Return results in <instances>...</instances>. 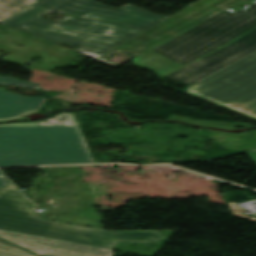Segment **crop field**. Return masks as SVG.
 <instances>
[{
  "mask_svg": "<svg viewBox=\"0 0 256 256\" xmlns=\"http://www.w3.org/2000/svg\"><path fill=\"white\" fill-rule=\"evenodd\" d=\"M0 256H34V255L0 239Z\"/></svg>",
  "mask_w": 256,
  "mask_h": 256,
  "instance_id": "cbeb9de0",
  "label": "crop field"
},
{
  "mask_svg": "<svg viewBox=\"0 0 256 256\" xmlns=\"http://www.w3.org/2000/svg\"><path fill=\"white\" fill-rule=\"evenodd\" d=\"M40 126L78 125L74 113H61L54 118L39 122Z\"/></svg>",
  "mask_w": 256,
  "mask_h": 256,
  "instance_id": "d1516ede",
  "label": "crop field"
},
{
  "mask_svg": "<svg viewBox=\"0 0 256 256\" xmlns=\"http://www.w3.org/2000/svg\"><path fill=\"white\" fill-rule=\"evenodd\" d=\"M0 126H39L38 122H25V123H11Z\"/></svg>",
  "mask_w": 256,
  "mask_h": 256,
  "instance_id": "5142ce71",
  "label": "crop field"
},
{
  "mask_svg": "<svg viewBox=\"0 0 256 256\" xmlns=\"http://www.w3.org/2000/svg\"><path fill=\"white\" fill-rule=\"evenodd\" d=\"M39 110H40V109H38V110H33V111H29V112H25V113H23V114H21V115H19V116L14 117V118L0 119V121L12 120V119H20V118H22V117H24V116H26V115L31 114V113L39 112Z\"/></svg>",
  "mask_w": 256,
  "mask_h": 256,
  "instance_id": "733c2abd",
  "label": "crop field"
},
{
  "mask_svg": "<svg viewBox=\"0 0 256 256\" xmlns=\"http://www.w3.org/2000/svg\"><path fill=\"white\" fill-rule=\"evenodd\" d=\"M256 26V17L241 26L233 29L225 35L190 53L189 55L174 62L182 66L196 60L197 58L207 54L208 52L229 42L244 32ZM256 51V29L228 44L222 49L204 57L203 59L169 75L168 77L179 81L194 84L196 81L224 68L225 66L253 53ZM171 64L164 69L156 72L161 79L163 76L181 66ZM201 81V80H200ZM199 82V81H198Z\"/></svg>",
  "mask_w": 256,
  "mask_h": 256,
  "instance_id": "412701ff",
  "label": "crop field"
},
{
  "mask_svg": "<svg viewBox=\"0 0 256 256\" xmlns=\"http://www.w3.org/2000/svg\"><path fill=\"white\" fill-rule=\"evenodd\" d=\"M170 119L189 121L193 124L218 126V127H223V128H227V129L236 128V127L253 126V125H249V124H245V123L236 124V123H230V122H214V121H206V120L196 121V120H191L187 117H182V116H178V115H171Z\"/></svg>",
  "mask_w": 256,
  "mask_h": 256,
  "instance_id": "22f410ed",
  "label": "crop field"
},
{
  "mask_svg": "<svg viewBox=\"0 0 256 256\" xmlns=\"http://www.w3.org/2000/svg\"><path fill=\"white\" fill-rule=\"evenodd\" d=\"M35 206L11 183L0 189V228L113 249L117 242H157V231H97L48 221L32 213Z\"/></svg>",
  "mask_w": 256,
  "mask_h": 256,
  "instance_id": "34b2d1b8",
  "label": "crop field"
},
{
  "mask_svg": "<svg viewBox=\"0 0 256 256\" xmlns=\"http://www.w3.org/2000/svg\"><path fill=\"white\" fill-rule=\"evenodd\" d=\"M250 2H251V1H249V0H248V1L244 0V1L240 2V3H238L237 5L231 7L230 9L236 11V10L239 9L240 7L246 5V4L250 3Z\"/></svg>",
  "mask_w": 256,
  "mask_h": 256,
  "instance_id": "4a817a6b",
  "label": "crop field"
},
{
  "mask_svg": "<svg viewBox=\"0 0 256 256\" xmlns=\"http://www.w3.org/2000/svg\"><path fill=\"white\" fill-rule=\"evenodd\" d=\"M54 10L70 16L127 26L140 32L167 18L129 4L113 9L94 0H39L2 23L54 43L78 46V51L93 59L140 34L123 27L69 16L59 22L43 18Z\"/></svg>",
  "mask_w": 256,
  "mask_h": 256,
  "instance_id": "8a807250",
  "label": "crop field"
},
{
  "mask_svg": "<svg viewBox=\"0 0 256 256\" xmlns=\"http://www.w3.org/2000/svg\"><path fill=\"white\" fill-rule=\"evenodd\" d=\"M249 5L245 11L225 10L151 51L174 62L255 17L256 4Z\"/></svg>",
  "mask_w": 256,
  "mask_h": 256,
  "instance_id": "e52e79f7",
  "label": "crop field"
},
{
  "mask_svg": "<svg viewBox=\"0 0 256 256\" xmlns=\"http://www.w3.org/2000/svg\"><path fill=\"white\" fill-rule=\"evenodd\" d=\"M232 71L249 76L256 73V52L202 79L206 84ZM209 90L186 91L188 95L256 120V75L250 78L233 73L206 84Z\"/></svg>",
  "mask_w": 256,
  "mask_h": 256,
  "instance_id": "f4fd0767",
  "label": "crop field"
},
{
  "mask_svg": "<svg viewBox=\"0 0 256 256\" xmlns=\"http://www.w3.org/2000/svg\"><path fill=\"white\" fill-rule=\"evenodd\" d=\"M233 73V72H232ZM231 74V73H230ZM255 75V74H254ZM252 76V75H251ZM250 77V76H249ZM194 89H208V86L202 85V84H198L195 83L194 85H192Z\"/></svg>",
  "mask_w": 256,
  "mask_h": 256,
  "instance_id": "bc2a9ffb",
  "label": "crop field"
},
{
  "mask_svg": "<svg viewBox=\"0 0 256 256\" xmlns=\"http://www.w3.org/2000/svg\"><path fill=\"white\" fill-rule=\"evenodd\" d=\"M0 85H17L39 89V84L22 82L14 78L0 77ZM45 98L24 97L0 89V118L19 115L25 111L41 108Z\"/></svg>",
  "mask_w": 256,
  "mask_h": 256,
  "instance_id": "5a996713",
  "label": "crop field"
},
{
  "mask_svg": "<svg viewBox=\"0 0 256 256\" xmlns=\"http://www.w3.org/2000/svg\"><path fill=\"white\" fill-rule=\"evenodd\" d=\"M256 163V152H253V153H249L248 154Z\"/></svg>",
  "mask_w": 256,
  "mask_h": 256,
  "instance_id": "214f88e0",
  "label": "crop field"
},
{
  "mask_svg": "<svg viewBox=\"0 0 256 256\" xmlns=\"http://www.w3.org/2000/svg\"><path fill=\"white\" fill-rule=\"evenodd\" d=\"M240 1L242 0H199L96 60L117 68V65L106 61V58L117 52L139 56L148 51L149 48L197 25Z\"/></svg>",
  "mask_w": 256,
  "mask_h": 256,
  "instance_id": "dd49c442",
  "label": "crop field"
},
{
  "mask_svg": "<svg viewBox=\"0 0 256 256\" xmlns=\"http://www.w3.org/2000/svg\"><path fill=\"white\" fill-rule=\"evenodd\" d=\"M135 66L140 67L144 70L158 71L172 62L148 51L138 58L132 60Z\"/></svg>",
  "mask_w": 256,
  "mask_h": 256,
  "instance_id": "3316defc",
  "label": "crop field"
},
{
  "mask_svg": "<svg viewBox=\"0 0 256 256\" xmlns=\"http://www.w3.org/2000/svg\"><path fill=\"white\" fill-rule=\"evenodd\" d=\"M0 237L41 256H113L114 250L0 229Z\"/></svg>",
  "mask_w": 256,
  "mask_h": 256,
  "instance_id": "d8731c3e",
  "label": "crop field"
},
{
  "mask_svg": "<svg viewBox=\"0 0 256 256\" xmlns=\"http://www.w3.org/2000/svg\"><path fill=\"white\" fill-rule=\"evenodd\" d=\"M9 182L10 181L0 173V188H5Z\"/></svg>",
  "mask_w": 256,
  "mask_h": 256,
  "instance_id": "d9b57169",
  "label": "crop field"
},
{
  "mask_svg": "<svg viewBox=\"0 0 256 256\" xmlns=\"http://www.w3.org/2000/svg\"><path fill=\"white\" fill-rule=\"evenodd\" d=\"M36 1L37 0H0V22Z\"/></svg>",
  "mask_w": 256,
  "mask_h": 256,
  "instance_id": "28ad6ade",
  "label": "crop field"
},
{
  "mask_svg": "<svg viewBox=\"0 0 256 256\" xmlns=\"http://www.w3.org/2000/svg\"><path fill=\"white\" fill-rule=\"evenodd\" d=\"M95 163L78 126L0 127V166Z\"/></svg>",
  "mask_w": 256,
  "mask_h": 256,
  "instance_id": "ac0d7876",
  "label": "crop field"
}]
</instances>
